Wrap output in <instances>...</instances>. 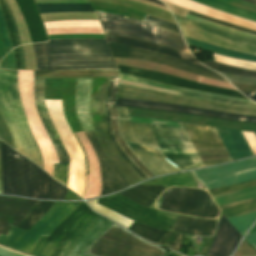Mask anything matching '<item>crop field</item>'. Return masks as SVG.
<instances>
[{"label":"crop field","mask_w":256,"mask_h":256,"mask_svg":"<svg viewBox=\"0 0 256 256\" xmlns=\"http://www.w3.org/2000/svg\"><path fill=\"white\" fill-rule=\"evenodd\" d=\"M74 209L51 234L44 235L30 250L35 256H61L79 232L97 216L84 202ZM114 222L98 215L75 238L62 256H90L84 254L88 246Z\"/></svg>","instance_id":"crop-field-1"},{"label":"crop field","mask_w":256,"mask_h":256,"mask_svg":"<svg viewBox=\"0 0 256 256\" xmlns=\"http://www.w3.org/2000/svg\"><path fill=\"white\" fill-rule=\"evenodd\" d=\"M33 46L37 70L117 69L105 39H53Z\"/></svg>","instance_id":"crop-field-2"},{"label":"crop field","mask_w":256,"mask_h":256,"mask_svg":"<svg viewBox=\"0 0 256 256\" xmlns=\"http://www.w3.org/2000/svg\"><path fill=\"white\" fill-rule=\"evenodd\" d=\"M3 194L63 199L67 189L0 141Z\"/></svg>","instance_id":"crop-field-3"},{"label":"crop field","mask_w":256,"mask_h":256,"mask_svg":"<svg viewBox=\"0 0 256 256\" xmlns=\"http://www.w3.org/2000/svg\"><path fill=\"white\" fill-rule=\"evenodd\" d=\"M0 113L7 125L27 121L18 92L17 70L0 69ZM8 127L15 150L43 168L41 153L27 122Z\"/></svg>","instance_id":"crop-field-4"},{"label":"crop field","mask_w":256,"mask_h":256,"mask_svg":"<svg viewBox=\"0 0 256 256\" xmlns=\"http://www.w3.org/2000/svg\"><path fill=\"white\" fill-rule=\"evenodd\" d=\"M117 111L122 139L154 176L178 171L163 159L165 156L156 143L151 124L130 122L124 107H117Z\"/></svg>","instance_id":"crop-field-5"},{"label":"crop field","mask_w":256,"mask_h":256,"mask_svg":"<svg viewBox=\"0 0 256 256\" xmlns=\"http://www.w3.org/2000/svg\"><path fill=\"white\" fill-rule=\"evenodd\" d=\"M164 252V249L147 243L114 223L89 246L86 254L94 256H163Z\"/></svg>","instance_id":"crop-field-6"},{"label":"crop field","mask_w":256,"mask_h":256,"mask_svg":"<svg viewBox=\"0 0 256 256\" xmlns=\"http://www.w3.org/2000/svg\"><path fill=\"white\" fill-rule=\"evenodd\" d=\"M96 14L104 33L127 35L190 53L179 35L128 17L98 11Z\"/></svg>","instance_id":"crop-field-7"},{"label":"crop field","mask_w":256,"mask_h":256,"mask_svg":"<svg viewBox=\"0 0 256 256\" xmlns=\"http://www.w3.org/2000/svg\"><path fill=\"white\" fill-rule=\"evenodd\" d=\"M45 105L55 128L71 157L68 174V188L82 196L85 187L86 170L81 147L73 136L63 115L61 102L45 101Z\"/></svg>","instance_id":"crop-field-8"},{"label":"crop field","mask_w":256,"mask_h":256,"mask_svg":"<svg viewBox=\"0 0 256 256\" xmlns=\"http://www.w3.org/2000/svg\"><path fill=\"white\" fill-rule=\"evenodd\" d=\"M156 207L205 218H215L218 214V209L209 194L200 189H168L157 200Z\"/></svg>","instance_id":"crop-field-9"},{"label":"crop field","mask_w":256,"mask_h":256,"mask_svg":"<svg viewBox=\"0 0 256 256\" xmlns=\"http://www.w3.org/2000/svg\"><path fill=\"white\" fill-rule=\"evenodd\" d=\"M77 206L74 203H55L28 231L12 227L6 236L0 234V243L28 253L42 234L48 236Z\"/></svg>","instance_id":"crop-field-10"},{"label":"crop field","mask_w":256,"mask_h":256,"mask_svg":"<svg viewBox=\"0 0 256 256\" xmlns=\"http://www.w3.org/2000/svg\"><path fill=\"white\" fill-rule=\"evenodd\" d=\"M109 78H93L91 111L96 135L111 161L124 173L131 185L142 179L118 155L108 139L104 101Z\"/></svg>","instance_id":"crop-field-11"},{"label":"crop field","mask_w":256,"mask_h":256,"mask_svg":"<svg viewBox=\"0 0 256 256\" xmlns=\"http://www.w3.org/2000/svg\"><path fill=\"white\" fill-rule=\"evenodd\" d=\"M36 203L35 200L0 196V233L6 235L11 226L17 227ZM53 203L39 201L18 228L28 230L49 210Z\"/></svg>","instance_id":"crop-field-12"},{"label":"crop field","mask_w":256,"mask_h":256,"mask_svg":"<svg viewBox=\"0 0 256 256\" xmlns=\"http://www.w3.org/2000/svg\"><path fill=\"white\" fill-rule=\"evenodd\" d=\"M97 203L133 221L165 231H168L178 217L177 214L146 209L118 194L98 199Z\"/></svg>","instance_id":"crop-field-13"},{"label":"crop field","mask_w":256,"mask_h":256,"mask_svg":"<svg viewBox=\"0 0 256 256\" xmlns=\"http://www.w3.org/2000/svg\"><path fill=\"white\" fill-rule=\"evenodd\" d=\"M192 173L206 189L232 185L256 179V158Z\"/></svg>","instance_id":"crop-field-14"},{"label":"crop field","mask_w":256,"mask_h":256,"mask_svg":"<svg viewBox=\"0 0 256 256\" xmlns=\"http://www.w3.org/2000/svg\"><path fill=\"white\" fill-rule=\"evenodd\" d=\"M118 81L119 79L115 78L113 93H112V98L110 103V105H113V106H125V107L145 108V109L168 111V112L190 113V114L209 116V117L219 118V119L256 123V116L237 115V114H231V113H225V112L198 109V108H193L189 106L165 104V103L152 102V101L133 100V99L117 97L116 105H114L115 93L117 90Z\"/></svg>","instance_id":"crop-field-15"},{"label":"crop field","mask_w":256,"mask_h":256,"mask_svg":"<svg viewBox=\"0 0 256 256\" xmlns=\"http://www.w3.org/2000/svg\"><path fill=\"white\" fill-rule=\"evenodd\" d=\"M117 96L133 98V99L153 100V101H160V102L173 103V104L189 105V106H194L198 108L225 111V112H231V113H237V114L256 115V109L152 93V92L135 89V88L124 87L120 85L118 88Z\"/></svg>","instance_id":"crop-field-16"},{"label":"crop field","mask_w":256,"mask_h":256,"mask_svg":"<svg viewBox=\"0 0 256 256\" xmlns=\"http://www.w3.org/2000/svg\"><path fill=\"white\" fill-rule=\"evenodd\" d=\"M182 125L190 141L192 142L194 148H211V149L225 150L214 127H210V128L214 134V137L218 145H212L217 143L209 127L191 124L198 142L212 143V144H202V143H197L190 124L182 123ZM195 150L204 167L231 161L226 151L210 150V149H195Z\"/></svg>","instance_id":"crop-field-17"},{"label":"crop field","mask_w":256,"mask_h":256,"mask_svg":"<svg viewBox=\"0 0 256 256\" xmlns=\"http://www.w3.org/2000/svg\"><path fill=\"white\" fill-rule=\"evenodd\" d=\"M108 45H109V48H110L113 56L161 63V64H165V65H168V66L180 69V70L192 72V73H195V74H198L201 76L227 81L221 75H219L207 68L192 65V64L180 61V60H176V59L164 56V55H160V54L151 52V51L126 47V46H122V45H118V44H108Z\"/></svg>","instance_id":"crop-field-18"},{"label":"crop field","mask_w":256,"mask_h":256,"mask_svg":"<svg viewBox=\"0 0 256 256\" xmlns=\"http://www.w3.org/2000/svg\"><path fill=\"white\" fill-rule=\"evenodd\" d=\"M43 81L44 79H34V98L37 111L40 115L42 123L54 145L59 164H54L53 178L66 186L67 165L69 156L61 143L57 132L53 126L50 116L43 102Z\"/></svg>","instance_id":"crop-field-19"},{"label":"crop field","mask_w":256,"mask_h":256,"mask_svg":"<svg viewBox=\"0 0 256 256\" xmlns=\"http://www.w3.org/2000/svg\"><path fill=\"white\" fill-rule=\"evenodd\" d=\"M152 126L163 154L182 170L194 169L195 166L175 127L155 124Z\"/></svg>","instance_id":"crop-field-20"},{"label":"crop field","mask_w":256,"mask_h":256,"mask_svg":"<svg viewBox=\"0 0 256 256\" xmlns=\"http://www.w3.org/2000/svg\"><path fill=\"white\" fill-rule=\"evenodd\" d=\"M99 160L102 192L105 195L130 186L123 174L110 162L93 131L84 132ZM100 195V196H101Z\"/></svg>","instance_id":"crop-field-21"},{"label":"crop field","mask_w":256,"mask_h":256,"mask_svg":"<svg viewBox=\"0 0 256 256\" xmlns=\"http://www.w3.org/2000/svg\"><path fill=\"white\" fill-rule=\"evenodd\" d=\"M118 67H119V71L121 73L134 75V76H137V77H140L143 79H147V80H151V81L161 82V83H165V84H169V85H173V86H177V87L210 91V92L226 94V95H231V96L248 99L245 96H243L242 94H240L238 91L219 88V87L210 86V85H206V84H202V83H195V82H191L188 80H184V79H180V78H176V77H172V76H168V75H164V74H160V73H156V72L128 68V67H123V66H119V65H118Z\"/></svg>","instance_id":"crop-field-22"},{"label":"crop field","mask_w":256,"mask_h":256,"mask_svg":"<svg viewBox=\"0 0 256 256\" xmlns=\"http://www.w3.org/2000/svg\"><path fill=\"white\" fill-rule=\"evenodd\" d=\"M240 233L225 219L221 213L217 233L212 241L207 256H228L234 250L239 239Z\"/></svg>","instance_id":"crop-field-23"},{"label":"crop field","mask_w":256,"mask_h":256,"mask_svg":"<svg viewBox=\"0 0 256 256\" xmlns=\"http://www.w3.org/2000/svg\"><path fill=\"white\" fill-rule=\"evenodd\" d=\"M104 35L108 43H118L126 46L147 49V50H151L160 54H164L173 58H177L186 62H190L196 65L202 66L200 63H198L195 60V58L192 55L185 54L181 51H178L172 48L160 46L157 44L141 41L138 39H134V38L122 36V35H107V34H104Z\"/></svg>","instance_id":"crop-field-24"},{"label":"crop field","mask_w":256,"mask_h":256,"mask_svg":"<svg viewBox=\"0 0 256 256\" xmlns=\"http://www.w3.org/2000/svg\"><path fill=\"white\" fill-rule=\"evenodd\" d=\"M162 1L168 2L170 4H173V5H176V6L191 10V11L205 14V15L217 18V19H221V20H224V21L236 24V25H240V26H243L246 28L256 30V23H254V22H251V21L239 18V17H235L232 15L223 13V12L213 10V9L206 7L204 5H201L199 3L191 2L188 0H162Z\"/></svg>","instance_id":"crop-field-25"},{"label":"crop field","mask_w":256,"mask_h":256,"mask_svg":"<svg viewBox=\"0 0 256 256\" xmlns=\"http://www.w3.org/2000/svg\"><path fill=\"white\" fill-rule=\"evenodd\" d=\"M129 230L156 243H158V241L165 234V232L146 227L136 222L131 225ZM183 236L184 234L182 233L169 231L164 235L159 243L179 252L182 245Z\"/></svg>","instance_id":"crop-field-26"},{"label":"crop field","mask_w":256,"mask_h":256,"mask_svg":"<svg viewBox=\"0 0 256 256\" xmlns=\"http://www.w3.org/2000/svg\"><path fill=\"white\" fill-rule=\"evenodd\" d=\"M232 160L252 155L241 131L216 127Z\"/></svg>","instance_id":"crop-field-27"},{"label":"crop field","mask_w":256,"mask_h":256,"mask_svg":"<svg viewBox=\"0 0 256 256\" xmlns=\"http://www.w3.org/2000/svg\"><path fill=\"white\" fill-rule=\"evenodd\" d=\"M217 221L196 219L180 215L171 230L191 234L212 236Z\"/></svg>","instance_id":"crop-field-28"},{"label":"crop field","mask_w":256,"mask_h":256,"mask_svg":"<svg viewBox=\"0 0 256 256\" xmlns=\"http://www.w3.org/2000/svg\"><path fill=\"white\" fill-rule=\"evenodd\" d=\"M118 77V70L34 71V78Z\"/></svg>","instance_id":"crop-field-29"},{"label":"crop field","mask_w":256,"mask_h":256,"mask_svg":"<svg viewBox=\"0 0 256 256\" xmlns=\"http://www.w3.org/2000/svg\"><path fill=\"white\" fill-rule=\"evenodd\" d=\"M175 17L180 25L194 28V29L203 31L205 33L217 36L219 38H222V39H225V40H228L231 42L256 46V39H251V38L243 37L240 35L228 33L225 31H221V30L209 27V26H205V25L196 23L187 18H183V17H179V16H175Z\"/></svg>","instance_id":"crop-field-30"},{"label":"crop field","mask_w":256,"mask_h":256,"mask_svg":"<svg viewBox=\"0 0 256 256\" xmlns=\"http://www.w3.org/2000/svg\"><path fill=\"white\" fill-rule=\"evenodd\" d=\"M164 188L165 186L138 185L118 194L148 208Z\"/></svg>","instance_id":"crop-field-31"},{"label":"crop field","mask_w":256,"mask_h":256,"mask_svg":"<svg viewBox=\"0 0 256 256\" xmlns=\"http://www.w3.org/2000/svg\"><path fill=\"white\" fill-rule=\"evenodd\" d=\"M183 34L187 37L196 39V40H200L206 43H210V44H214V45H218L227 49H233V50H238V51H242V52H246V53H250V54H256V47H251V46H245V45H240V44H235V43H231L219 38H216L214 36L205 34L203 32L194 30V29H190L187 27H183L180 26Z\"/></svg>","instance_id":"crop-field-32"},{"label":"crop field","mask_w":256,"mask_h":256,"mask_svg":"<svg viewBox=\"0 0 256 256\" xmlns=\"http://www.w3.org/2000/svg\"><path fill=\"white\" fill-rule=\"evenodd\" d=\"M114 78H110L108 90H107V96H106V102H105V115L107 119V132L109 135V139L111 143L113 144L116 151L119 153V155L128 163V165L143 179H147V177L128 159V157L122 152L121 148L118 146V144L115 141V138L112 133V124H111V112H110V98H111V91H112V84H113Z\"/></svg>","instance_id":"crop-field-33"},{"label":"crop field","mask_w":256,"mask_h":256,"mask_svg":"<svg viewBox=\"0 0 256 256\" xmlns=\"http://www.w3.org/2000/svg\"><path fill=\"white\" fill-rule=\"evenodd\" d=\"M185 40L189 46L202 48L204 50H207V51H210V52H213L216 54H220V55L227 56V57L238 58V59L256 61V55H250V54H245V53H240V52H236V51L223 49L218 46L206 44V43L196 41V40H193V39H190L187 37H185Z\"/></svg>","instance_id":"crop-field-34"},{"label":"crop field","mask_w":256,"mask_h":256,"mask_svg":"<svg viewBox=\"0 0 256 256\" xmlns=\"http://www.w3.org/2000/svg\"><path fill=\"white\" fill-rule=\"evenodd\" d=\"M143 184H145V185H174V186L197 187V185L190 173L166 176V177L147 181Z\"/></svg>","instance_id":"crop-field-35"},{"label":"crop field","mask_w":256,"mask_h":256,"mask_svg":"<svg viewBox=\"0 0 256 256\" xmlns=\"http://www.w3.org/2000/svg\"><path fill=\"white\" fill-rule=\"evenodd\" d=\"M112 111V123H113V132L114 136L119 144V146L123 149L124 153L130 158V160L148 177H152L153 175L147 170V168L132 154V152L125 145L123 140L120 137L118 125H117V112L116 107L111 108Z\"/></svg>","instance_id":"crop-field-36"},{"label":"crop field","mask_w":256,"mask_h":256,"mask_svg":"<svg viewBox=\"0 0 256 256\" xmlns=\"http://www.w3.org/2000/svg\"><path fill=\"white\" fill-rule=\"evenodd\" d=\"M40 13L94 11L90 4H36Z\"/></svg>","instance_id":"crop-field-37"},{"label":"crop field","mask_w":256,"mask_h":256,"mask_svg":"<svg viewBox=\"0 0 256 256\" xmlns=\"http://www.w3.org/2000/svg\"><path fill=\"white\" fill-rule=\"evenodd\" d=\"M194 1L207 5L213 9L234 14V15L243 17L245 19H249L256 22V14L237 9L225 3H222L216 0H194Z\"/></svg>","instance_id":"crop-field-38"},{"label":"crop field","mask_w":256,"mask_h":256,"mask_svg":"<svg viewBox=\"0 0 256 256\" xmlns=\"http://www.w3.org/2000/svg\"><path fill=\"white\" fill-rule=\"evenodd\" d=\"M253 200V199H252ZM250 201V200H248ZM247 202V201H244ZM244 202H240V203H236V204H230V205H222L220 206L221 210L244 203ZM251 212H256V200L223 210L224 215L226 216V218L228 217H232V216H237V215H242V214H246V213H251Z\"/></svg>","instance_id":"crop-field-39"},{"label":"crop field","mask_w":256,"mask_h":256,"mask_svg":"<svg viewBox=\"0 0 256 256\" xmlns=\"http://www.w3.org/2000/svg\"><path fill=\"white\" fill-rule=\"evenodd\" d=\"M96 201H97V199L89 200L87 202L91 206L92 209L99 212L100 214L110 218L111 220L115 221L116 223H118L126 228H128L133 223V221H131V220H129L111 210H108L104 207H101V206L95 204Z\"/></svg>","instance_id":"crop-field-40"},{"label":"crop field","mask_w":256,"mask_h":256,"mask_svg":"<svg viewBox=\"0 0 256 256\" xmlns=\"http://www.w3.org/2000/svg\"><path fill=\"white\" fill-rule=\"evenodd\" d=\"M203 64L214 70L223 71V72L240 75V76L256 78V71L241 69V68L232 67V66L211 62V61L205 62Z\"/></svg>","instance_id":"crop-field-41"},{"label":"crop field","mask_w":256,"mask_h":256,"mask_svg":"<svg viewBox=\"0 0 256 256\" xmlns=\"http://www.w3.org/2000/svg\"><path fill=\"white\" fill-rule=\"evenodd\" d=\"M255 219H256V213H251V214L229 218L228 220L243 236Z\"/></svg>","instance_id":"crop-field-42"},{"label":"crop field","mask_w":256,"mask_h":256,"mask_svg":"<svg viewBox=\"0 0 256 256\" xmlns=\"http://www.w3.org/2000/svg\"><path fill=\"white\" fill-rule=\"evenodd\" d=\"M45 28L56 27H101L99 21H62L43 23Z\"/></svg>","instance_id":"crop-field-43"},{"label":"crop field","mask_w":256,"mask_h":256,"mask_svg":"<svg viewBox=\"0 0 256 256\" xmlns=\"http://www.w3.org/2000/svg\"><path fill=\"white\" fill-rule=\"evenodd\" d=\"M142 21L181 35L175 24L148 16V15H146V17Z\"/></svg>","instance_id":"crop-field-44"},{"label":"crop field","mask_w":256,"mask_h":256,"mask_svg":"<svg viewBox=\"0 0 256 256\" xmlns=\"http://www.w3.org/2000/svg\"><path fill=\"white\" fill-rule=\"evenodd\" d=\"M252 186H256V180L245 182V183H240V184H236V185H232V186H228V187L210 189L208 191L211 195H214V194L231 192V191H235V190H239V189H243V188H248V187H252Z\"/></svg>","instance_id":"crop-field-45"},{"label":"crop field","mask_w":256,"mask_h":256,"mask_svg":"<svg viewBox=\"0 0 256 256\" xmlns=\"http://www.w3.org/2000/svg\"><path fill=\"white\" fill-rule=\"evenodd\" d=\"M176 129H177L185 147L187 148V150H188L196 168L202 167V165H201V163H200V161H199V159H198V157H197V155H196V153H195V151H194V149H193V147H192V145H191V143H190V141H189V139H188V137H187V135L184 131V129L177 128V127H176Z\"/></svg>","instance_id":"crop-field-46"},{"label":"crop field","mask_w":256,"mask_h":256,"mask_svg":"<svg viewBox=\"0 0 256 256\" xmlns=\"http://www.w3.org/2000/svg\"><path fill=\"white\" fill-rule=\"evenodd\" d=\"M178 96H184V97L196 98V99H201V100L215 101V102H221V103H225V104L256 108V105L238 103V102H233V101H227V100L216 99V98L205 97V96H199V95H193V94L182 93V92H180Z\"/></svg>","instance_id":"crop-field-47"},{"label":"crop field","mask_w":256,"mask_h":256,"mask_svg":"<svg viewBox=\"0 0 256 256\" xmlns=\"http://www.w3.org/2000/svg\"><path fill=\"white\" fill-rule=\"evenodd\" d=\"M188 14H191V15H194V16H197V17H200V18H203V19H205V20H208V21H211V22H214V23H218V24L225 25V26H228V27H231V28H234V29H238V30H241V31L250 33V34H256V31L249 30V29H245V28H241V27H237V26H234V25L225 23V22L218 21V20H214V19H211V18H209V17L203 16V15H200V14H197V13H194V12H191V11H189Z\"/></svg>","instance_id":"crop-field-48"},{"label":"crop field","mask_w":256,"mask_h":256,"mask_svg":"<svg viewBox=\"0 0 256 256\" xmlns=\"http://www.w3.org/2000/svg\"><path fill=\"white\" fill-rule=\"evenodd\" d=\"M219 73L222 74L225 78H227L230 82L256 85V79L254 78L239 77L222 72Z\"/></svg>","instance_id":"crop-field-49"},{"label":"crop field","mask_w":256,"mask_h":256,"mask_svg":"<svg viewBox=\"0 0 256 256\" xmlns=\"http://www.w3.org/2000/svg\"><path fill=\"white\" fill-rule=\"evenodd\" d=\"M0 32H1L2 40L6 47V51L8 52L10 49H12V47L9 40V36L6 31L5 22H4V18L2 16L1 10H0Z\"/></svg>","instance_id":"crop-field-50"},{"label":"crop field","mask_w":256,"mask_h":256,"mask_svg":"<svg viewBox=\"0 0 256 256\" xmlns=\"http://www.w3.org/2000/svg\"><path fill=\"white\" fill-rule=\"evenodd\" d=\"M0 7H1V10H2L4 18H5V22H6V25H7L8 33H9L10 40H11V43H12V47H15L17 45H16L15 38H14V35H13L11 23H10L8 13H7L4 5H3L2 0H0Z\"/></svg>","instance_id":"crop-field-51"},{"label":"crop field","mask_w":256,"mask_h":256,"mask_svg":"<svg viewBox=\"0 0 256 256\" xmlns=\"http://www.w3.org/2000/svg\"><path fill=\"white\" fill-rule=\"evenodd\" d=\"M3 2H4V5H5L8 13H9V16H10V19H11V23H12V27H13V31H14V35H15V38H16V42H17V45L19 46V45H21V43H20V40H19V37H18V33H17V28H16L14 17L12 15V12L10 10V7L8 5L7 0H3Z\"/></svg>","instance_id":"crop-field-52"},{"label":"crop field","mask_w":256,"mask_h":256,"mask_svg":"<svg viewBox=\"0 0 256 256\" xmlns=\"http://www.w3.org/2000/svg\"><path fill=\"white\" fill-rule=\"evenodd\" d=\"M240 92H256V86L232 83Z\"/></svg>","instance_id":"crop-field-53"},{"label":"crop field","mask_w":256,"mask_h":256,"mask_svg":"<svg viewBox=\"0 0 256 256\" xmlns=\"http://www.w3.org/2000/svg\"><path fill=\"white\" fill-rule=\"evenodd\" d=\"M244 240L247 241V242H248L250 245H252L254 248H256V232L247 235Z\"/></svg>","instance_id":"crop-field-54"},{"label":"crop field","mask_w":256,"mask_h":256,"mask_svg":"<svg viewBox=\"0 0 256 256\" xmlns=\"http://www.w3.org/2000/svg\"><path fill=\"white\" fill-rule=\"evenodd\" d=\"M7 65L8 68L15 69L12 51L7 55Z\"/></svg>","instance_id":"crop-field-55"},{"label":"crop field","mask_w":256,"mask_h":256,"mask_svg":"<svg viewBox=\"0 0 256 256\" xmlns=\"http://www.w3.org/2000/svg\"><path fill=\"white\" fill-rule=\"evenodd\" d=\"M0 256H22V255L14 254V253L9 252L3 248H0Z\"/></svg>","instance_id":"crop-field-56"},{"label":"crop field","mask_w":256,"mask_h":256,"mask_svg":"<svg viewBox=\"0 0 256 256\" xmlns=\"http://www.w3.org/2000/svg\"><path fill=\"white\" fill-rule=\"evenodd\" d=\"M13 52H14V59H15L16 69H20V67H19V56H18L17 47L15 49H13Z\"/></svg>","instance_id":"crop-field-57"},{"label":"crop field","mask_w":256,"mask_h":256,"mask_svg":"<svg viewBox=\"0 0 256 256\" xmlns=\"http://www.w3.org/2000/svg\"><path fill=\"white\" fill-rule=\"evenodd\" d=\"M18 50H19L20 61H21V69H25V62H24V56H23L22 47L19 46Z\"/></svg>","instance_id":"crop-field-58"},{"label":"crop field","mask_w":256,"mask_h":256,"mask_svg":"<svg viewBox=\"0 0 256 256\" xmlns=\"http://www.w3.org/2000/svg\"><path fill=\"white\" fill-rule=\"evenodd\" d=\"M251 98L253 101H256V93H243Z\"/></svg>","instance_id":"crop-field-59"},{"label":"crop field","mask_w":256,"mask_h":256,"mask_svg":"<svg viewBox=\"0 0 256 256\" xmlns=\"http://www.w3.org/2000/svg\"><path fill=\"white\" fill-rule=\"evenodd\" d=\"M244 1H247V2H250V3H253V4H256V0H244Z\"/></svg>","instance_id":"crop-field-60"},{"label":"crop field","mask_w":256,"mask_h":256,"mask_svg":"<svg viewBox=\"0 0 256 256\" xmlns=\"http://www.w3.org/2000/svg\"><path fill=\"white\" fill-rule=\"evenodd\" d=\"M149 1H152V2H155V3H159V4H162L161 2H159L158 0H149ZM163 5V4H162Z\"/></svg>","instance_id":"crop-field-61"},{"label":"crop field","mask_w":256,"mask_h":256,"mask_svg":"<svg viewBox=\"0 0 256 256\" xmlns=\"http://www.w3.org/2000/svg\"><path fill=\"white\" fill-rule=\"evenodd\" d=\"M0 193H2L1 177H0Z\"/></svg>","instance_id":"crop-field-62"},{"label":"crop field","mask_w":256,"mask_h":256,"mask_svg":"<svg viewBox=\"0 0 256 256\" xmlns=\"http://www.w3.org/2000/svg\"><path fill=\"white\" fill-rule=\"evenodd\" d=\"M256 134V133H255Z\"/></svg>","instance_id":"crop-field-63"}]
</instances>
